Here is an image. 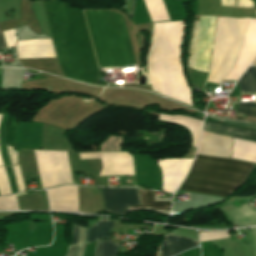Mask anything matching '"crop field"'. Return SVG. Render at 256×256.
Masks as SVG:
<instances>
[{
  "label": "crop field",
  "instance_id": "1",
  "mask_svg": "<svg viewBox=\"0 0 256 256\" xmlns=\"http://www.w3.org/2000/svg\"><path fill=\"white\" fill-rule=\"evenodd\" d=\"M56 54L65 77L99 84L100 75L82 10L43 0Z\"/></svg>",
  "mask_w": 256,
  "mask_h": 256
},
{
  "label": "crop field",
  "instance_id": "2",
  "mask_svg": "<svg viewBox=\"0 0 256 256\" xmlns=\"http://www.w3.org/2000/svg\"><path fill=\"white\" fill-rule=\"evenodd\" d=\"M100 67L136 65L121 16L84 10Z\"/></svg>",
  "mask_w": 256,
  "mask_h": 256
},
{
  "label": "crop field",
  "instance_id": "3",
  "mask_svg": "<svg viewBox=\"0 0 256 256\" xmlns=\"http://www.w3.org/2000/svg\"><path fill=\"white\" fill-rule=\"evenodd\" d=\"M196 164L250 172L253 164L197 155ZM193 164L179 189L225 197L236 189L248 173ZM248 176V175H247Z\"/></svg>",
  "mask_w": 256,
  "mask_h": 256
},
{
  "label": "crop field",
  "instance_id": "4",
  "mask_svg": "<svg viewBox=\"0 0 256 256\" xmlns=\"http://www.w3.org/2000/svg\"><path fill=\"white\" fill-rule=\"evenodd\" d=\"M250 18L218 17L210 75L207 81L219 84L233 66Z\"/></svg>",
  "mask_w": 256,
  "mask_h": 256
},
{
  "label": "crop field",
  "instance_id": "5",
  "mask_svg": "<svg viewBox=\"0 0 256 256\" xmlns=\"http://www.w3.org/2000/svg\"><path fill=\"white\" fill-rule=\"evenodd\" d=\"M256 54V19L251 18L236 62L224 80H236Z\"/></svg>",
  "mask_w": 256,
  "mask_h": 256
},
{
  "label": "crop field",
  "instance_id": "6",
  "mask_svg": "<svg viewBox=\"0 0 256 256\" xmlns=\"http://www.w3.org/2000/svg\"><path fill=\"white\" fill-rule=\"evenodd\" d=\"M105 210L127 214V205H139L136 188H101Z\"/></svg>",
  "mask_w": 256,
  "mask_h": 256
},
{
  "label": "crop field",
  "instance_id": "7",
  "mask_svg": "<svg viewBox=\"0 0 256 256\" xmlns=\"http://www.w3.org/2000/svg\"><path fill=\"white\" fill-rule=\"evenodd\" d=\"M155 161L162 170V191L174 192L184 177L192 160L164 159Z\"/></svg>",
  "mask_w": 256,
  "mask_h": 256
},
{
  "label": "crop field",
  "instance_id": "8",
  "mask_svg": "<svg viewBox=\"0 0 256 256\" xmlns=\"http://www.w3.org/2000/svg\"><path fill=\"white\" fill-rule=\"evenodd\" d=\"M216 17L202 16L196 57V69L207 71Z\"/></svg>",
  "mask_w": 256,
  "mask_h": 256
},
{
  "label": "crop field",
  "instance_id": "9",
  "mask_svg": "<svg viewBox=\"0 0 256 256\" xmlns=\"http://www.w3.org/2000/svg\"><path fill=\"white\" fill-rule=\"evenodd\" d=\"M231 146L232 138L202 131L197 154L230 158Z\"/></svg>",
  "mask_w": 256,
  "mask_h": 256
},
{
  "label": "crop field",
  "instance_id": "10",
  "mask_svg": "<svg viewBox=\"0 0 256 256\" xmlns=\"http://www.w3.org/2000/svg\"><path fill=\"white\" fill-rule=\"evenodd\" d=\"M18 59L55 57L50 40L18 41Z\"/></svg>",
  "mask_w": 256,
  "mask_h": 256
},
{
  "label": "crop field",
  "instance_id": "11",
  "mask_svg": "<svg viewBox=\"0 0 256 256\" xmlns=\"http://www.w3.org/2000/svg\"><path fill=\"white\" fill-rule=\"evenodd\" d=\"M164 238L158 247L157 256H172L191 247L198 246L196 240L181 236L165 234Z\"/></svg>",
  "mask_w": 256,
  "mask_h": 256
},
{
  "label": "crop field",
  "instance_id": "12",
  "mask_svg": "<svg viewBox=\"0 0 256 256\" xmlns=\"http://www.w3.org/2000/svg\"><path fill=\"white\" fill-rule=\"evenodd\" d=\"M158 119L173 121L185 126L192 134V145L196 146L202 121L189 118L183 115H162L159 114Z\"/></svg>",
  "mask_w": 256,
  "mask_h": 256
},
{
  "label": "crop field",
  "instance_id": "13",
  "mask_svg": "<svg viewBox=\"0 0 256 256\" xmlns=\"http://www.w3.org/2000/svg\"><path fill=\"white\" fill-rule=\"evenodd\" d=\"M232 158L256 163V143L234 139Z\"/></svg>",
  "mask_w": 256,
  "mask_h": 256
},
{
  "label": "crop field",
  "instance_id": "14",
  "mask_svg": "<svg viewBox=\"0 0 256 256\" xmlns=\"http://www.w3.org/2000/svg\"><path fill=\"white\" fill-rule=\"evenodd\" d=\"M203 130H208L210 132L217 133V134H226L230 136H235L239 138L256 141V133L238 129V128L227 127V126L216 125V124L205 122Z\"/></svg>",
  "mask_w": 256,
  "mask_h": 256
},
{
  "label": "crop field",
  "instance_id": "15",
  "mask_svg": "<svg viewBox=\"0 0 256 256\" xmlns=\"http://www.w3.org/2000/svg\"><path fill=\"white\" fill-rule=\"evenodd\" d=\"M140 205L155 206H128V210L148 208L156 211H168L170 202H154L153 192L138 189Z\"/></svg>",
  "mask_w": 256,
  "mask_h": 256
},
{
  "label": "crop field",
  "instance_id": "16",
  "mask_svg": "<svg viewBox=\"0 0 256 256\" xmlns=\"http://www.w3.org/2000/svg\"><path fill=\"white\" fill-rule=\"evenodd\" d=\"M238 84L240 92L256 91V66H250Z\"/></svg>",
  "mask_w": 256,
  "mask_h": 256
},
{
  "label": "crop field",
  "instance_id": "17",
  "mask_svg": "<svg viewBox=\"0 0 256 256\" xmlns=\"http://www.w3.org/2000/svg\"><path fill=\"white\" fill-rule=\"evenodd\" d=\"M118 244L111 243V240L97 241L94 256H116Z\"/></svg>",
  "mask_w": 256,
  "mask_h": 256
},
{
  "label": "crop field",
  "instance_id": "18",
  "mask_svg": "<svg viewBox=\"0 0 256 256\" xmlns=\"http://www.w3.org/2000/svg\"><path fill=\"white\" fill-rule=\"evenodd\" d=\"M236 114L243 115V116L256 117V103L255 102L239 103Z\"/></svg>",
  "mask_w": 256,
  "mask_h": 256
},
{
  "label": "crop field",
  "instance_id": "19",
  "mask_svg": "<svg viewBox=\"0 0 256 256\" xmlns=\"http://www.w3.org/2000/svg\"><path fill=\"white\" fill-rule=\"evenodd\" d=\"M86 232H87V229L73 224V226H72V244H85Z\"/></svg>",
  "mask_w": 256,
  "mask_h": 256
},
{
  "label": "crop field",
  "instance_id": "20",
  "mask_svg": "<svg viewBox=\"0 0 256 256\" xmlns=\"http://www.w3.org/2000/svg\"><path fill=\"white\" fill-rule=\"evenodd\" d=\"M2 33L5 39L7 49L14 48L16 45V36H15L14 30L11 29L7 31H3Z\"/></svg>",
  "mask_w": 256,
  "mask_h": 256
},
{
  "label": "crop field",
  "instance_id": "21",
  "mask_svg": "<svg viewBox=\"0 0 256 256\" xmlns=\"http://www.w3.org/2000/svg\"><path fill=\"white\" fill-rule=\"evenodd\" d=\"M12 170H13V174H14V178H15V182H16L18 192L22 191V190H25V188L23 186V183H22L21 175H20V172H19L18 164L13 166Z\"/></svg>",
  "mask_w": 256,
  "mask_h": 256
},
{
  "label": "crop field",
  "instance_id": "22",
  "mask_svg": "<svg viewBox=\"0 0 256 256\" xmlns=\"http://www.w3.org/2000/svg\"><path fill=\"white\" fill-rule=\"evenodd\" d=\"M85 245L81 246H69L67 253L65 256H83Z\"/></svg>",
  "mask_w": 256,
  "mask_h": 256
},
{
  "label": "crop field",
  "instance_id": "23",
  "mask_svg": "<svg viewBox=\"0 0 256 256\" xmlns=\"http://www.w3.org/2000/svg\"><path fill=\"white\" fill-rule=\"evenodd\" d=\"M225 123L256 130V125L255 124H248V123L229 121V120H226Z\"/></svg>",
  "mask_w": 256,
  "mask_h": 256
},
{
  "label": "crop field",
  "instance_id": "24",
  "mask_svg": "<svg viewBox=\"0 0 256 256\" xmlns=\"http://www.w3.org/2000/svg\"><path fill=\"white\" fill-rule=\"evenodd\" d=\"M7 151H8V154H9L11 165L13 166L14 164L17 163V157H16L17 152L13 153V149L11 147H7Z\"/></svg>",
  "mask_w": 256,
  "mask_h": 256
},
{
  "label": "crop field",
  "instance_id": "25",
  "mask_svg": "<svg viewBox=\"0 0 256 256\" xmlns=\"http://www.w3.org/2000/svg\"><path fill=\"white\" fill-rule=\"evenodd\" d=\"M4 48H6V47H5V43H4L2 33H1V30H0V49H4Z\"/></svg>",
  "mask_w": 256,
  "mask_h": 256
},
{
  "label": "crop field",
  "instance_id": "26",
  "mask_svg": "<svg viewBox=\"0 0 256 256\" xmlns=\"http://www.w3.org/2000/svg\"><path fill=\"white\" fill-rule=\"evenodd\" d=\"M23 194H26V192L24 191V192H22V193H19V194H17V196H21V195H23Z\"/></svg>",
  "mask_w": 256,
  "mask_h": 256
},
{
  "label": "crop field",
  "instance_id": "27",
  "mask_svg": "<svg viewBox=\"0 0 256 256\" xmlns=\"http://www.w3.org/2000/svg\"><path fill=\"white\" fill-rule=\"evenodd\" d=\"M177 256H181V254L177 255Z\"/></svg>",
  "mask_w": 256,
  "mask_h": 256
}]
</instances>
